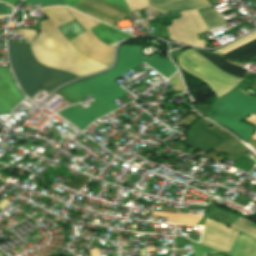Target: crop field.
I'll use <instances>...</instances> for the list:
<instances>
[{
    "label": "crop field",
    "instance_id": "obj_1",
    "mask_svg": "<svg viewBox=\"0 0 256 256\" xmlns=\"http://www.w3.org/2000/svg\"><path fill=\"white\" fill-rule=\"evenodd\" d=\"M117 66L106 74L83 82L66 86L59 92L74 102H82L80 99L90 96L96 101L91 103L96 106L89 111H84L77 105L58 112L80 130H83L94 119L118 108L112 101L126 94L127 91L120 88L112 80L123 75L141 62L147 63L164 77L172 75L176 69L170 60L161 58L158 53L150 58L140 55L143 47L121 46Z\"/></svg>",
    "mask_w": 256,
    "mask_h": 256
},
{
    "label": "crop field",
    "instance_id": "obj_25",
    "mask_svg": "<svg viewBox=\"0 0 256 256\" xmlns=\"http://www.w3.org/2000/svg\"><path fill=\"white\" fill-rule=\"evenodd\" d=\"M247 144L252 147L254 150H256V142L253 140H249Z\"/></svg>",
    "mask_w": 256,
    "mask_h": 256
},
{
    "label": "crop field",
    "instance_id": "obj_27",
    "mask_svg": "<svg viewBox=\"0 0 256 256\" xmlns=\"http://www.w3.org/2000/svg\"><path fill=\"white\" fill-rule=\"evenodd\" d=\"M52 256H59V255L54 254V255H52Z\"/></svg>",
    "mask_w": 256,
    "mask_h": 256
},
{
    "label": "crop field",
    "instance_id": "obj_12",
    "mask_svg": "<svg viewBox=\"0 0 256 256\" xmlns=\"http://www.w3.org/2000/svg\"><path fill=\"white\" fill-rule=\"evenodd\" d=\"M256 35V32L239 39L235 42H232L231 44L223 47L222 49L216 51L215 53H222L235 45L249 39L250 37ZM224 58H241V59H250L256 55V36L250 38L249 40L235 46L234 48L220 54ZM251 60H256V56L252 58Z\"/></svg>",
    "mask_w": 256,
    "mask_h": 256
},
{
    "label": "crop field",
    "instance_id": "obj_26",
    "mask_svg": "<svg viewBox=\"0 0 256 256\" xmlns=\"http://www.w3.org/2000/svg\"><path fill=\"white\" fill-rule=\"evenodd\" d=\"M2 1L8 2L9 4L15 6L16 3H17L19 0H2Z\"/></svg>",
    "mask_w": 256,
    "mask_h": 256
},
{
    "label": "crop field",
    "instance_id": "obj_21",
    "mask_svg": "<svg viewBox=\"0 0 256 256\" xmlns=\"http://www.w3.org/2000/svg\"><path fill=\"white\" fill-rule=\"evenodd\" d=\"M25 2L41 3L43 6L49 4H62V2H60L59 0H25Z\"/></svg>",
    "mask_w": 256,
    "mask_h": 256
},
{
    "label": "crop field",
    "instance_id": "obj_2",
    "mask_svg": "<svg viewBox=\"0 0 256 256\" xmlns=\"http://www.w3.org/2000/svg\"><path fill=\"white\" fill-rule=\"evenodd\" d=\"M50 20L41 22V32L31 43L35 58L42 64L78 76L94 73L107 66L80 54L56 26L73 19L66 8L44 9Z\"/></svg>",
    "mask_w": 256,
    "mask_h": 256
},
{
    "label": "crop field",
    "instance_id": "obj_15",
    "mask_svg": "<svg viewBox=\"0 0 256 256\" xmlns=\"http://www.w3.org/2000/svg\"><path fill=\"white\" fill-rule=\"evenodd\" d=\"M153 215L166 216L168 217L167 222L177 223V224H186V225H196V223L201 218L200 215L172 214V213H164V212H154Z\"/></svg>",
    "mask_w": 256,
    "mask_h": 256
},
{
    "label": "crop field",
    "instance_id": "obj_9",
    "mask_svg": "<svg viewBox=\"0 0 256 256\" xmlns=\"http://www.w3.org/2000/svg\"><path fill=\"white\" fill-rule=\"evenodd\" d=\"M237 233V231L224 226V224L206 217L203 225L201 243L219 251L228 252Z\"/></svg>",
    "mask_w": 256,
    "mask_h": 256
},
{
    "label": "crop field",
    "instance_id": "obj_3",
    "mask_svg": "<svg viewBox=\"0 0 256 256\" xmlns=\"http://www.w3.org/2000/svg\"><path fill=\"white\" fill-rule=\"evenodd\" d=\"M9 61L22 91L30 98L40 89L51 92L78 77L43 67L34 60L29 44L7 42Z\"/></svg>",
    "mask_w": 256,
    "mask_h": 256
},
{
    "label": "crop field",
    "instance_id": "obj_24",
    "mask_svg": "<svg viewBox=\"0 0 256 256\" xmlns=\"http://www.w3.org/2000/svg\"><path fill=\"white\" fill-rule=\"evenodd\" d=\"M10 201L6 200V199H2L0 201V209L2 210Z\"/></svg>",
    "mask_w": 256,
    "mask_h": 256
},
{
    "label": "crop field",
    "instance_id": "obj_8",
    "mask_svg": "<svg viewBox=\"0 0 256 256\" xmlns=\"http://www.w3.org/2000/svg\"><path fill=\"white\" fill-rule=\"evenodd\" d=\"M149 2L165 12L197 9L209 30L226 24L207 0H149Z\"/></svg>",
    "mask_w": 256,
    "mask_h": 256
},
{
    "label": "crop field",
    "instance_id": "obj_11",
    "mask_svg": "<svg viewBox=\"0 0 256 256\" xmlns=\"http://www.w3.org/2000/svg\"><path fill=\"white\" fill-rule=\"evenodd\" d=\"M94 1H96L98 3H101V4L107 6V7L111 8V9H114V10H116V11H118V12L124 14V15L129 13V11H127V10H125L123 8H120V7H118V6H116V5L112 4V3H109V2H107L105 0H94ZM94 1H92V0H83V2H85L87 4H90V5H92V6L96 7V8H99V9H101L103 11H106V12L112 14V15H115V16L119 17V18L124 16V15H122V14H120V13L114 11V10H111V9L101 5V4H98V3L94 2ZM83 2L79 3L78 5L84 7L86 9H88V10H91V11H93V12H95V13L101 15V16H104V17H106V18H108V19H110V20H112L114 22L119 20V18H117L115 16H112V15L106 13V12H103V11H101L99 9H96V8L90 6V5H87V4L83 3ZM78 5H76L74 7V9L80 10V11H82V12H84V13H86V14H88V15H90V16H92V17H94V18H96V19H98L100 21L108 23L110 25L114 24V22H112V21H110V20H108V19H106L104 17H101V16H99V15H97V14L91 12V11H88V10L78 6Z\"/></svg>",
    "mask_w": 256,
    "mask_h": 256
},
{
    "label": "crop field",
    "instance_id": "obj_7",
    "mask_svg": "<svg viewBox=\"0 0 256 256\" xmlns=\"http://www.w3.org/2000/svg\"><path fill=\"white\" fill-rule=\"evenodd\" d=\"M169 29L170 40L195 47H204L205 41L197 40V33L208 31L197 10L181 12V19L173 20Z\"/></svg>",
    "mask_w": 256,
    "mask_h": 256
},
{
    "label": "crop field",
    "instance_id": "obj_4",
    "mask_svg": "<svg viewBox=\"0 0 256 256\" xmlns=\"http://www.w3.org/2000/svg\"><path fill=\"white\" fill-rule=\"evenodd\" d=\"M193 52L201 55L202 57H204L206 60H208L210 63L214 64L215 66L227 71L228 73L235 75L239 78L242 79L243 75L245 74V72L247 70L238 67V66H234L231 65L229 63H227L225 60H223L221 57L212 54V53H207V52H203V51H198V50H194L192 49ZM191 51V50H190ZM192 52V51H191ZM191 52H189L188 50L182 52L181 54L178 55V63L180 65V67L185 70L186 72L196 76L197 78L205 81L212 89L213 93L218 96L220 95L222 92H224L226 89H228L229 87H231L232 85H234V83L237 81V79L230 77L226 74L225 71L215 67L214 65H212L213 67L217 68L218 70L226 73H222L220 71H218L217 69L213 68L212 66H210L209 62H207L205 59H203L202 57L198 56L197 54H195L196 56H198L200 59H202L203 61L209 63H205L203 61H201L199 58H197L195 55H193ZM229 74V75H230ZM231 75V76H232ZM241 82V80L239 79L234 86H232L231 88H229L228 90H226L223 94H221L220 96H218L219 98H221L222 96H224L225 94H227L229 91H231L232 89H234L235 87H237V85Z\"/></svg>",
    "mask_w": 256,
    "mask_h": 256
},
{
    "label": "crop field",
    "instance_id": "obj_18",
    "mask_svg": "<svg viewBox=\"0 0 256 256\" xmlns=\"http://www.w3.org/2000/svg\"><path fill=\"white\" fill-rule=\"evenodd\" d=\"M68 9V8H67ZM70 13L76 18V20L88 31L96 24L100 23L92 18L84 16L72 9H68Z\"/></svg>",
    "mask_w": 256,
    "mask_h": 256
},
{
    "label": "crop field",
    "instance_id": "obj_10",
    "mask_svg": "<svg viewBox=\"0 0 256 256\" xmlns=\"http://www.w3.org/2000/svg\"><path fill=\"white\" fill-rule=\"evenodd\" d=\"M24 98L8 68H0V114L11 113L10 110Z\"/></svg>",
    "mask_w": 256,
    "mask_h": 256
},
{
    "label": "crop field",
    "instance_id": "obj_5",
    "mask_svg": "<svg viewBox=\"0 0 256 256\" xmlns=\"http://www.w3.org/2000/svg\"><path fill=\"white\" fill-rule=\"evenodd\" d=\"M254 112H256V98L237 87L218 100L207 116L230 127L247 141L253 135L256 127L240 120Z\"/></svg>",
    "mask_w": 256,
    "mask_h": 256
},
{
    "label": "crop field",
    "instance_id": "obj_17",
    "mask_svg": "<svg viewBox=\"0 0 256 256\" xmlns=\"http://www.w3.org/2000/svg\"><path fill=\"white\" fill-rule=\"evenodd\" d=\"M90 178L91 177L79 173L73 181L67 179L62 184V186H65V187L71 188L73 190L79 191V189L81 187H83Z\"/></svg>",
    "mask_w": 256,
    "mask_h": 256
},
{
    "label": "crop field",
    "instance_id": "obj_16",
    "mask_svg": "<svg viewBox=\"0 0 256 256\" xmlns=\"http://www.w3.org/2000/svg\"><path fill=\"white\" fill-rule=\"evenodd\" d=\"M231 226L256 237V224L247 221L241 217H239Z\"/></svg>",
    "mask_w": 256,
    "mask_h": 256
},
{
    "label": "crop field",
    "instance_id": "obj_22",
    "mask_svg": "<svg viewBox=\"0 0 256 256\" xmlns=\"http://www.w3.org/2000/svg\"><path fill=\"white\" fill-rule=\"evenodd\" d=\"M22 39L32 40L36 35V30L21 29Z\"/></svg>",
    "mask_w": 256,
    "mask_h": 256
},
{
    "label": "crop field",
    "instance_id": "obj_6",
    "mask_svg": "<svg viewBox=\"0 0 256 256\" xmlns=\"http://www.w3.org/2000/svg\"><path fill=\"white\" fill-rule=\"evenodd\" d=\"M58 28L69 41L87 33V31L75 19L58 26ZM71 43L82 54L107 66L112 62L113 49L101 43L90 31L87 34L71 41Z\"/></svg>",
    "mask_w": 256,
    "mask_h": 256
},
{
    "label": "crop field",
    "instance_id": "obj_13",
    "mask_svg": "<svg viewBox=\"0 0 256 256\" xmlns=\"http://www.w3.org/2000/svg\"><path fill=\"white\" fill-rule=\"evenodd\" d=\"M214 149L230 153V155L228 156L229 158L244 165H247L251 168H253L252 166L256 163L255 161L242 155L245 151L249 149L234 139L229 138Z\"/></svg>",
    "mask_w": 256,
    "mask_h": 256
},
{
    "label": "crop field",
    "instance_id": "obj_28",
    "mask_svg": "<svg viewBox=\"0 0 256 256\" xmlns=\"http://www.w3.org/2000/svg\"><path fill=\"white\" fill-rule=\"evenodd\" d=\"M0 256H2V255H0Z\"/></svg>",
    "mask_w": 256,
    "mask_h": 256
},
{
    "label": "crop field",
    "instance_id": "obj_23",
    "mask_svg": "<svg viewBox=\"0 0 256 256\" xmlns=\"http://www.w3.org/2000/svg\"><path fill=\"white\" fill-rule=\"evenodd\" d=\"M10 10H11V8L0 3V15L8 14L10 12ZM0 17H3V16H0Z\"/></svg>",
    "mask_w": 256,
    "mask_h": 256
},
{
    "label": "crop field",
    "instance_id": "obj_19",
    "mask_svg": "<svg viewBox=\"0 0 256 256\" xmlns=\"http://www.w3.org/2000/svg\"><path fill=\"white\" fill-rule=\"evenodd\" d=\"M125 2L128 5V7L130 8L131 12L139 10V9L147 7V6H150L148 3V0H125ZM150 7H152V6H150ZM152 8H154V7H152ZM154 9H156V8H154Z\"/></svg>",
    "mask_w": 256,
    "mask_h": 256
},
{
    "label": "crop field",
    "instance_id": "obj_14",
    "mask_svg": "<svg viewBox=\"0 0 256 256\" xmlns=\"http://www.w3.org/2000/svg\"><path fill=\"white\" fill-rule=\"evenodd\" d=\"M230 254L234 256H256V239L243 232L238 234Z\"/></svg>",
    "mask_w": 256,
    "mask_h": 256
},
{
    "label": "crop field",
    "instance_id": "obj_20",
    "mask_svg": "<svg viewBox=\"0 0 256 256\" xmlns=\"http://www.w3.org/2000/svg\"><path fill=\"white\" fill-rule=\"evenodd\" d=\"M170 82L175 92L184 91L178 73H176L174 76L170 78Z\"/></svg>",
    "mask_w": 256,
    "mask_h": 256
}]
</instances>
